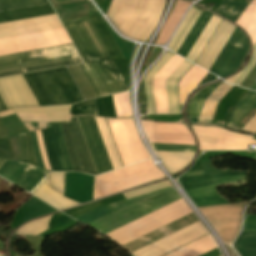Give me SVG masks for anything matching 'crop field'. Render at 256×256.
I'll return each instance as SVG.
<instances>
[{
  "mask_svg": "<svg viewBox=\"0 0 256 256\" xmlns=\"http://www.w3.org/2000/svg\"><path fill=\"white\" fill-rule=\"evenodd\" d=\"M63 26L85 63L80 67L96 97L128 90L89 18Z\"/></svg>",
  "mask_w": 256,
  "mask_h": 256,
  "instance_id": "8a807250",
  "label": "crop field"
},
{
  "mask_svg": "<svg viewBox=\"0 0 256 256\" xmlns=\"http://www.w3.org/2000/svg\"><path fill=\"white\" fill-rule=\"evenodd\" d=\"M22 122L31 132L41 128L49 165L52 171H72L67 155L68 151L74 171L91 174L93 176L97 175L76 116L72 117L69 124L59 122L67 151L58 122H39L40 128L37 122Z\"/></svg>",
  "mask_w": 256,
  "mask_h": 256,
  "instance_id": "ac0d7876",
  "label": "crop field"
},
{
  "mask_svg": "<svg viewBox=\"0 0 256 256\" xmlns=\"http://www.w3.org/2000/svg\"><path fill=\"white\" fill-rule=\"evenodd\" d=\"M164 5L165 0H112L106 15L125 35L146 41Z\"/></svg>",
  "mask_w": 256,
  "mask_h": 256,
  "instance_id": "34b2d1b8",
  "label": "crop field"
},
{
  "mask_svg": "<svg viewBox=\"0 0 256 256\" xmlns=\"http://www.w3.org/2000/svg\"><path fill=\"white\" fill-rule=\"evenodd\" d=\"M181 198L171 187L107 205L113 212L98 219L89 226L103 234Z\"/></svg>",
  "mask_w": 256,
  "mask_h": 256,
  "instance_id": "412701ff",
  "label": "crop field"
},
{
  "mask_svg": "<svg viewBox=\"0 0 256 256\" xmlns=\"http://www.w3.org/2000/svg\"><path fill=\"white\" fill-rule=\"evenodd\" d=\"M40 106L84 100L65 67L24 75Z\"/></svg>",
  "mask_w": 256,
  "mask_h": 256,
  "instance_id": "f4fd0767",
  "label": "crop field"
},
{
  "mask_svg": "<svg viewBox=\"0 0 256 256\" xmlns=\"http://www.w3.org/2000/svg\"><path fill=\"white\" fill-rule=\"evenodd\" d=\"M189 213L190 209L180 199L106 235L123 246Z\"/></svg>",
  "mask_w": 256,
  "mask_h": 256,
  "instance_id": "dd49c442",
  "label": "crop field"
},
{
  "mask_svg": "<svg viewBox=\"0 0 256 256\" xmlns=\"http://www.w3.org/2000/svg\"><path fill=\"white\" fill-rule=\"evenodd\" d=\"M140 163V162H139ZM155 167L152 160L136 164L112 173H108L95 178L94 187ZM164 177L163 173L157 167L95 187L93 200L99 197L111 195L119 191L134 187L136 185Z\"/></svg>",
  "mask_w": 256,
  "mask_h": 256,
  "instance_id": "e52e79f7",
  "label": "crop field"
},
{
  "mask_svg": "<svg viewBox=\"0 0 256 256\" xmlns=\"http://www.w3.org/2000/svg\"><path fill=\"white\" fill-rule=\"evenodd\" d=\"M246 172H226L192 177L180 178L179 182L183 188L198 187L220 183L245 182ZM222 185V184H220ZM220 185H212L198 188L185 189L186 193L193 200L197 207L225 204L226 200L221 199L215 190Z\"/></svg>",
  "mask_w": 256,
  "mask_h": 256,
  "instance_id": "d8731c3e",
  "label": "crop field"
},
{
  "mask_svg": "<svg viewBox=\"0 0 256 256\" xmlns=\"http://www.w3.org/2000/svg\"><path fill=\"white\" fill-rule=\"evenodd\" d=\"M192 126L198 139L199 150H247V144H256L252 136L223 128Z\"/></svg>",
  "mask_w": 256,
  "mask_h": 256,
  "instance_id": "5a996713",
  "label": "crop field"
},
{
  "mask_svg": "<svg viewBox=\"0 0 256 256\" xmlns=\"http://www.w3.org/2000/svg\"><path fill=\"white\" fill-rule=\"evenodd\" d=\"M79 57L73 44L0 57V71Z\"/></svg>",
  "mask_w": 256,
  "mask_h": 256,
  "instance_id": "3316defc",
  "label": "crop field"
},
{
  "mask_svg": "<svg viewBox=\"0 0 256 256\" xmlns=\"http://www.w3.org/2000/svg\"><path fill=\"white\" fill-rule=\"evenodd\" d=\"M247 203L199 208L217 230L223 242L230 245L241 224L242 209Z\"/></svg>",
  "mask_w": 256,
  "mask_h": 256,
  "instance_id": "28ad6ade",
  "label": "crop field"
},
{
  "mask_svg": "<svg viewBox=\"0 0 256 256\" xmlns=\"http://www.w3.org/2000/svg\"><path fill=\"white\" fill-rule=\"evenodd\" d=\"M107 120H132V119L124 118V119H107ZM107 122L109 124L110 130L112 132L113 138L115 140L116 146L118 148L119 154L121 156V159L124 165L135 162L136 160L137 162L141 160H145L150 157L149 154L144 149L142 143L138 139L137 132L135 130V127L132 121H122V122L125 127L127 136L129 138L130 144L132 146L136 160L133 155V152L129 144L128 138L126 136L122 122L121 121H107Z\"/></svg>",
  "mask_w": 256,
  "mask_h": 256,
  "instance_id": "d1516ede",
  "label": "crop field"
},
{
  "mask_svg": "<svg viewBox=\"0 0 256 256\" xmlns=\"http://www.w3.org/2000/svg\"><path fill=\"white\" fill-rule=\"evenodd\" d=\"M249 50V42L237 27L209 71L224 78L237 71Z\"/></svg>",
  "mask_w": 256,
  "mask_h": 256,
  "instance_id": "22f410ed",
  "label": "crop field"
},
{
  "mask_svg": "<svg viewBox=\"0 0 256 256\" xmlns=\"http://www.w3.org/2000/svg\"><path fill=\"white\" fill-rule=\"evenodd\" d=\"M62 31L67 40H64L65 37H64ZM62 31H61V29H58V30L41 32V33H35V34L1 39L0 40V51L12 49V48L29 46V45L47 43V42H52V41H58V40H64V41H58V42H52V43H47V44H41V45L29 46V47L12 49V50H7V51H1L0 55L12 54V53H17V52L41 49V48L64 45V44H70L71 41L68 38L64 28H62Z\"/></svg>",
  "mask_w": 256,
  "mask_h": 256,
  "instance_id": "cbeb9de0",
  "label": "crop field"
},
{
  "mask_svg": "<svg viewBox=\"0 0 256 256\" xmlns=\"http://www.w3.org/2000/svg\"><path fill=\"white\" fill-rule=\"evenodd\" d=\"M207 234L206 230L199 221L162 238L134 253V256H162L174 249H177L203 235Z\"/></svg>",
  "mask_w": 256,
  "mask_h": 256,
  "instance_id": "5142ce71",
  "label": "crop field"
},
{
  "mask_svg": "<svg viewBox=\"0 0 256 256\" xmlns=\"http://www.w3.org/2000/svg\"><path fill=\"white\" fill-rule=\"evenodd\" d=\"M150 142L195 145L190 131L184 124H166L142 121Z\"/></svg>",
  "mask_w": 256,
  "mask_h": 256,
  "instance_id": "d9b57169",
  "label": "crop field"
},
{
  "mask_svg": "<svg viewBox=\"0 0 256 256\" xmlns=\"http://www.w3.org/2000/svg\"><path fill=\"white\" fill-rule=\"evenodd\" d=\"M0 96L7 109L38 106L22 75L0 78Z\"/></svg>",
  "mask_w": 256,
  "mask_h": 256,
  "instance_id": "733c2abd",
  "label": "crop field"
},
{
  "mask_svg": "<svg viewBox=\"0 0 256 256\" xmlns=\"http://www.w3.org/2000/svg\"><path fill=\"white\" fill-rule=\"evenodd\" d=\"M82 127L86 142L91 152L97 173L112 170L110 160L96 126L95 120L90 116H77Z\"/></svg>",
  "mask_w": 256,
  "mask_h": 256,
  "instance_id": "4a817a6b",
  "label": "crop field"
},
{
  "mask_svg": "<svg viewBox=\"0 0 256 256\" xmlns=\"http://www.w3.org/2000/svg\"><path fill=\"white\" fill-rule=\"evenodd\" d=\"M47 171L23 163L5 161L0 166V176L30 192Z\"/></svg>",
  "mask_w": 256,
  "mask_h": 256,
  "instance_id": "bc2a9ffb",
  "label": "crop field"
},
{
  "mask_svg": "<svg viewBox=\"0 0 256 256\" xmlns=\"http://www.w3.org/2000/svg\"><path fill=\"white\" fill-rule=\"evenodd\" d=\"M56 14L0 24V38L61 28Z\"/></svg>",
  "mask_w": 256,
  "mask_h": 256,
  "instance_id": "214f88e0",
  "label": "crop field"
},
{
  "mask_svg": "<svg viewBox=\"0 0 256 256\" xmlns=\"http://www.w3.org/2000/svg\"><path fill=\"white\" fill-rule=\"evenodd\" d=\"M64 173H50L32 194L57 209H65L78 205L62 197Z\"/></svg>",
  "mask_w": 256,
  "mask_h": 256,
  "instance_id": "92a150f3",
  "label": "crop field"
},
{
  "mask_svg": "<svg viewBox=\"0 0 256 256\" xmlns=\"http://www.w3.org/2000/svg\"><path fill=\"white\" fill-rule=\"evenodd\" d=\"M154 151L195 153V147L151 144ZM170 174L186 167L194 154L155 152Z\"/></svg>",
  "mask_w": 256,
  "mask_h": 256,
  "instance_id": "dafd665d",
  "label": "crop field"
},
{
  "mask_svg": "<svg viewBox=\"0 0 256 256\" xmlns=\"http://www.w3.org/2000/svg\"><path fill=\"white\" fill-rule=\"evenodd\" d=\"M70 105L64 106H49V107H34V108H19L13 109L21 120L30 121H66L68 122L71 116L69 115Z\"/></svg>",
  "mask_w": 256,
  "mask_h": 256,
  "instance_id": "00972430",
  "label": "crop field"
},
{
  "mask_svg": "<svg viewBox=\"0 0 256 256\" xmlns=\"http://www.w3.org/2000/svg\"><path fill=\"white\" fill-rule=\"evenodd\" d=\"M235 27L236 26H234L233 24L223 20V22L211 38L210 42L196 61V64L209 70Z\"/></svg>",
  "mask_w": 256,
  "mask_h": 256,
  "instance_id": "a9b5d70f",
  "label": "crop field"
},
{
  "mask_svg": "<svg viewBox=\"0 0 256 256\" xmlns=\"http://www.w3.org/2000/svg\"><path fill=\"white\" fill-rule=\"evenodd\" d=\"M197 221L196 217L193 215V213L167 225L164 226L144 237H141L125 246H123L126 250H128L130 253L164 237L167 236L193 222Z\"/></svg>",
  "mask_w": 256,
  "mask_h": 256,
  "instance_id": "4177f3b9",
  "label": "crop field"
},
{
  "mask_svg": "<svg viewBox=\"0 0 256 256\" xmlns=\"http://www.w3.org/2000/svg\"><path fill=\"white\" fill-rule=\"evenodd\" d=\"M184 59L174 56L153 81L157 113H168L165 81Z\"/></svg>",
  "mask_w": 256,
  "mask_h": 256,
  "instance_id": "730fd06b",
  "label": "crop field"
},
{
  "mask_svg": "<svg viewBox=\"0 0 256 256\" xmlns=\"http://www.w3.org/2000/svg\"><path fill=\"white\" fill-rule=\"evenodd\" d=\"M192 65L184 60L166 81L169 113H179L176 84Z\"/></svg>",
  "mask_w": 256,
  "mask_h": 256,
  "instance_id": "eef30255",
  "label": "crop field"
},
{
  "mask_svg": "<svg viewBox=\"0 0 256 256\" xmlns=\"http://www.w3.org/2000/svg\"><path fill=\"white\" fill-rule=\"evenodd\" d=\"M93 26L95 27L98 35L100 36L103 44L105 45L108 53L113 61L124 60L120 50L118 49L114 39L112 38L108 28L101 21L98 15L94 13L89 17Z\"/></svg>",
  "mask_w": 256,
  "mask_h": 256,
  "instance_id": "ae1a2a85",
  "label": "crop field"
},
{
  "mask_svg": "<svg viewBox=\"0 0 256 256\" xmlns=\"http://www.w3.org/2000/svg\"><path fill=\"white\" fill-rule=\"evenodd\" d=\"M212 15L213 14H211V13H209L207 11L206 12H202L200 14V16L196 20L195 24L191 28L190 32L188 33L187 37L183 41L182 45L178 49L177 54H179V55H181V56L186 58V56L188 55L189 51L191 50V48L195 44L196 40L198 39V37L202 33L203 29L205 28V26L209 22V20L212 17Z\"/></svg>",
  "mask_w": 256,
  "mask_h": 256,
  "instance_id": "d3111659",
  "label": "crop field"
},
{
  "mask_svg": "<svg viewBox=\"0 0 256 256\" xmlns=\"http://www.w3.org/2000/svg\"><path fill=\"white\" fill-rule=\"evenodd\" d=\"M233 87L230 84H221L206 100L201 115L198 119L200 123H210L218 102Z\"/></svg>",
  "mask_w": 256,
  "mask_h": 256,
  "instance_id": "750c4746",
  "label": "crop field"
},
{
  "mask_svg": "<svg viewBox=\"0 0 256 256\" xmlns=\"http://www.w3.org/2000/svg\"><path fill=\"white\" fill-rule=\"evenodd\" d=\"M207 73L208 72L194 65L180 80L178 85L180 104H183L188 92L193 90Z\"/></svg>",
  "mask_w": 256,
  "mask_h": 256,
  "instance_id": "bd1437ed",
  "label": "crop field"
},
{
  "mask_svg": "<svg viewBox=\"0 0 256 256\" xmlns=\"http://www.w3.org/2000/svg\"><path fill=\"white\" fill-rule=\"evenodd\" d=\"M215 247L208 235L165 256H199Z\"/></svg>",
  "mask_w": 256,
  "mask_h": 256,
  "instance_id": "1d83c4d3",
  "label": "crop field"
},
{
  "mask_svg": "<svg viewBox=\"0 0 256 256\" xmlns=\"http://www.w3.org/2000/svg\"><path fill=\"white\" fill-rule=\"evenodd\" d=\"M173 56L174 54L166 51L163 58L144 77L149 113H156L152 81Z\"/></svg>",
  "mask_w": 256,
  "mask_h": 256,
  "instance_id": "120bbe31",
  "label": "crop field"
},
{
  "mask_svg": "<svg viewBox=\"0 0 256 256\" xmlns=\"http://www.w3.org/2000/svg\"><path fill=\"white\" fill-rule=\"evenodd\" d=\"M53 13L54 11L51 5L15 10V11H8V12H1L0 23L12 21V20L30 18L35 16L53 14Z\"/></svg>",
  "mask_w": 256,
  "mask_h": 256,
  "instance_id": "d32e631a",
  "label": "crop field"
},
{
  "mask_svg": "<svg viewBox=\"0 0 256 256\" xmlns=\"http://www.w3.org/2000/svg\"><path fill=\"white\" fill-rule=\"evenodd\" d=\"M199 14H200V11L193 7L188 11L182 24L180 25L178 31L176 32L174 38L172 39L169 45V48L171 51L176 53L177 49L181 45L182 41L186 37L187 33L189 32L190 28L194 24Z\"/></svg>",
  "mask_w": 256,
  "mask_h": 256,
  "instance_id": "5866460e",
  "label": "crop field"
},
{
  "mask_svg": "<svg viewBox=\"0 0 256 256\" xmlns=\"http://www.w3.org/2000/svg\"><path fill=\"white\" fill-rule=\"evenodd\" d=\"M235 24L247 32L253 45L256 42V0H252Z\"/></svg>",
  "mask_w": 256,
  "mask_h": 256,
  "instance_id": "028f5c9d",
  "label": "crop field"
},
{
  "mask_svg": "<svg viewBox=\"0 0 256 256\" xmlns=\"http://www.w3.org/2000/svg\"><path fill=\"white\" fill-rule=\"evenodd\" d=\"M256 105V92H248L235 106L228 127L234 128L241 119Z\"/></svg>",
  "mask_w": 256,
  "mask_h": 256,
  "instance_id": "e1f06a70",
  "label": "crop field"
},
{
  "mask_svg": "<svg viewBox=\"0 0 256 256\" xmlns=\"http://www.w3.org/2000/svg\"><path fill=\"white\" fill-rule=\"evenodd\" d=\"M99 128L100 134L102 136L103 142L105 144L106 150L108 152L109 158L111 160L113 168L121 167V162L119 160L118 154L116 152L114 143L112 141L110 132L108 130L107 124L104 118L94 117Z\"/></svg>",
  "mask_w": 256,
  "mask_h": 256,
  "instance_id": "0bd39190",
  "label": "crop field"
},
{
  "mask_svg": "<svg viewBox=\"0 0 256 256\" xmlns=\"http://www.w3.org/2000/svg\"><path fill=\"white\" fill-rule=\"evenodd\" d=\"M233 247L241 256H256V232H242Z\"/></svg>",
  "mask_w": 256,
  "mask_h": 256,
  "instance_id": "b80d0937",
  "label": "crop field"
},
{
  "mask_svg": "<svg viewBox=\"0 0 256 256\" xmlns=\"http://www.w3.org/2000/svg\"><path fill=\"white\" fill-rule=\"evenodd\" d=\"M219 21H220V18L213 15L210 22L208 23V25L204 29L203 33L201 34V36L197 40L196 44L194 45V47L192 48V50L190 51V53H189V55L187 56L186 59H188V60H190L191 62L194 63L195 59L199 55L200 51L202 50L203 46L207 42L208 38L212 34L213 30L215 29V27L217 26Z\"/></svg>",
  "mask_w": 256,
  "mask_h": 256,
  "instance_id": "c035e120",
  "label": "crop field"
},
{
  "mask_svg": "<svg viewBox=\"0 0 256 256\" xmlns=\"http://www.w3.org/2000/svg\"><path fill=\"white\" fill-rule=\"evenodd\" d=\"M246 5V3L223 0L214 12L234 22Z\"/></svg>",
  "mask_w": 256,
  "mask_h": 256,
  "instance_id": "c21b1889",
  "label": "crop field"
},
{
  "mask_svg": "<svg viewBox=\"0 0 256 256\" xmlns=\"http://www.w3.org/2000/svg\"><path fill=\"white\" fill-rule=\"evenodd\" d=\"M219 83H215L204 88L196 96L192 98L189 103V116L198 118L201 112V109L204 105L206 98L219 86Z\"/></svg>",
  "mask_w": 256,
  "mask_h": 256,
  "instance_id": "03da06ac",
  "label": "crop field"
},
{
  "mask_svg": "<svg viewBox=\"0 0 256 256\" xmlns=\"http://www.w3.org/2000/svg\"><path fill=\"white\" fill-rule=\"evenodd\" d=\"M81 62H82L81 59L77 58V59L65 60V61H60V62L42 64V65H37V66L25 67V68H20V69L2 71V72H0V77L21 74V73H26V72H32V71H37V70H43V69L59 67V66H64V65L77 64V63H81Z\"/></svg>",
  "mask_w": 256,
  "mask_h": 256,
  "instance_id": "b54c1fbb",
  "label": "crop field"
},
{
  "mask_svg": "<svg viewBox=\"0 0 256 256\" xmlns=\"http://www.w3.org/2000/svg\"><path fill=\"white\" fill-rule=\"evenodd\" d=\"M46 0H0V11L46 5Z\"/></svg>",
  "mask_w": 256,
  "mask_h": 256,
  "instance_id": "5d738f31",
  "label": "crop field"
},
{
  "mask_svg": "<svg viewBox=\"0 0 256 256\" xmlns=\"http://www.w3.org/2000/svg\"><path fill=\"white\" fill-rule=\"evenodd\" d=\"M51 216L30 222L17 230V234L38 235L48 230V222Z\"/></svg>",
  "mask_w": 256,
  "mask_h": 256,
  "instance_id": "d23c7cc5",
  "label": "crop field"
},
{
  "mask_svg": "<svg viewBox=\"0 0 256 256\" xmlns=\"http://www.w3.org/2000/svg\"><path fill=\"white\" fill-rule=\"evenodd\" d=\"M71 73L73 74L75 80L77 81L78 85L80 86L82 92L84 93L86 99L94 98L95 95L89 86L85 76L83 75L79 65L69 66Z\"/></svg>",
  "mask_w": 256,
  "mask_h": 256,
  "instance_id": "425ffa30",
  "label": "crop field"
},
{
  "mask_svg": "<svg viewBox=\"0 0 256 256\" xmlns=\"http://www.w3.org/2000/svg\"><path fill=\"white\" fill-rule=\"evenodd\" d=\"M114 104L117 117H130L131 110L128 100V92L114 95Z\"/></svg>",
  "mask_w": 256,
  "mask_h": 256,
  "instance_id": "25e5ab78",
  "label": "crop field"
},
{
  "mask_svg": "<svg viewBox=\"0 0 256 256\" xmlns=\"http://www.w3.org/2000/svg\"><path fill=\"white\" fill-rule=\"evenodd\" d=\"M71 115H96V108L94 100L81 102L75 104L70 109Z\"/></svg>",
  "mask_w": 256,
  "mask_h": 256,
  "instance_id": "73cf0c24",
  "label": "crop field"
},
{
  "mask_svg": "<svg viewBox=\"0 0 256 256\" xmlns=\"http://www.w3.org/2000/svg\"><path fill=\"white\" fill-rule=\"evenodd\" d=\"M255 63H256V43H255V45L253 46V53H252V56H251V59H250L248 65L243 68L242 72L240 71L241 73L238 72V73L235 74L234 76H232V77H230V78H228V79H225V81L234 84L235 80L237 79V77H238V75H239V73H240L238 79H237L236 82H235L236 85H239L240 82L243 80V78L246 76V74L250 71V69L253 67V65H254Z\"/></svg>",
  "mask_w": 256,
  "mask_h": 256,
  "instance_id": "89e229c0",
  "label": "crop field"
},
{
  "mask_svg": "<svg viewBox=\"0 0 256 256\" xmlns=\"http://www.w3.org/2000/svg\"><path fill=\"white\" fill-rule=\"evenodd\" d=\"M170 185L171 184L168 182V180H166V181L159 182V183H156L153 185H149V186H146V187H143L140 189H136V190H133L130 192L123 193V195L126 199H128V198L135 197V196L147 193V192H151V191L163 188V187L170 186Z\"/></svg>",
  "mask_w": 256,
  "mask_h": 256,
  "instance_id": "1f2cbd36",
  "label": "crop field"
},
{
  "mask_svg": "<svg viewBox=\"0 0 256 256\" xmlns=\"http://www.w3.org/2000/svg\"><path fill=\"white\" fill-rule=\"evenodd\" d=\"M25 136H26V142H27V146H28L29 163L38 166L35 152H34V149L32 147V143H31L30 132L26 133Z\"/></svg>",
  "mask_w": 256,
  "mask_h": 256,
  "instance_id": "dbb93151",
  "label": "crop field"
},
{
  "mask_svg": "<svg viewBox=\"0 0 256 256\" xmlns=\"http://www.w3.org/2000/svg\"><path fill=\"white\" fill-rule=\"evenodd\" d=\"M255 79H256V64L251 69V71L247 74L244 80L241 82L240 86L249 88Z\"/></svg>",
  "mask_w": 256,
  "mask_h": 256,
  "instance_id": "0fb4a251",
  "label": "crop field"
},
{
  "mask_svg": "<svg viewBox=\"0 0 256 256\" xmlns=\"http://www.w3.org/2000/svg\"><path fill=\"white\" fill-rule=\"evenodd\" d=\"M242 231H256V215H247Z\"/></svg>",
  "mask_w": 256,
  "mask_h": 256,
  "instance_id": "1d79db26",
  "label": "crop field"
},
{
  "mask_svg": "<svg viewBox=\"0 0 256 256\" xmlns=\"http://www.w3.org/2000/svg\"><path fill=\"white\" fill-rule=\"evenodd\" d=\"M36 134H37V139H38V143H39V147H40V152H41L43 163L45 165V168L47 170H50L48 162H47L46 153H45V149H44V145H43V141H42V136H41L40 130L36 131Z\"/></svg>",
  "mask_w": 256,
  "mask_h": 256,
  "instance_id": "9d1cf04e",
  "label": "crop field"
},
{
  "mask_svg": "<svg viewBox=\"0 0 256 256\" xmlns=\"http://www.w3.org/2000/svg\"><path fill=\"white\" fill-rule=\"evenodd\" d=\"M255 114L256 106L245 116V118L235 127V129L241 130Z\"/></svg>",
  "mask_w": 256,
  "mask_h": 256,
  "instance_id": "447ae74e",
  "label": "crop field"
},
{
  "mask_svg": "<svg viewBox=\"0 0 256 256\" xmlns=\"http://www.w3.org/2000/svg\"><path fill=\"white\" fill-rule=\"evenodd\" d=\"M242 130L256 134V115Z\"/></svg>",
  "mask_w": 256,
  "mask_h": 256,
  "instance_id": "0765c3eb",
  "label": "crop field"
},
{
  "mask_svg": "<svg viewBox=\"0 0 256 256\" xmlns=\"http://www.w3.org/2000/svg\"><path fill=\"white\" fill-rule=\"evenodd\" d=\"M21 145H22V154H23V162L28 163V154H27V147L25 142V136L24 134L19 135Z\"/></svg>",
  "mask_w": 256,
  "mask_h": 256,
  "instance_id": "db79e9e6",
  "label": "crop field"
},
{
  "mask_svg": "<svg viewBox=\"0 0 256 256\" xmlns=\"http://www.w3.org/2000/svg\"><path fill=\"white\" fill-rule=\"evenodd\" d=\"M10 114H14L12 109L0 112V117H4V116L10 115Z\"/></svg>",
  "mask_w": 256,
  "mask_h": 256,
  "instance_id": "7b73153f",
  "label": "crop field"
},
{
  "mask_svg": "<svg viewBox=\"0 0 256 256\" xmlns=\"http://www.w3.org/2000/svg\"><path fill=\"white\" fill-rule=\"evenodd\" d=\"M200 174H204V172L203 171H199V172L185 173L182 177H184V176H192V175H200Z\"/></svg>",
  "mask_w": 256,
  "mask_h": 256,
  "instance_id": "78b8030e",
  "label": "crop field"
},
{
  "mask_svg": "<svg viewBox=\"0 0 256 256\" xmlns=\"http://www.w3.org/2000/svg\"><path fill=\"white\" fill-rule=\"evenodd\" d=\"M1 110H5V107H4L3 103H2V101L0 100V111Z\"/></svg>",
  "mask_w": 256,
  "mask_h": 256,
  "instance_id": "0f1d7ab4",
  "label": "crop field"
},
{
  "mask_svg": "<svg viewBox=\"0 0 256 256\" xmlns=\"http://www.w3.org/2000/svg\"><path fill=\"white\" fill-rule=\"evenodd\" d=\"M250 89H251V90H256V81L254 82V84L251 86Z\"/></svg>",
  "mask_w": 256,
  "mask_h": 256,
  "instance_id": "e1d0b9f6",
  "label": "crop field"
},
{
  "mask_svg": "<svg viewBox=\"0 0 256 256\" xmlns=\"http://www.w3.org/2000/svg\"><path fill=\"white\" fill-rule=\"evenodd\" d=\"M4 161L0 160V165L3 163Z\"/></svg>",
  "mask_w": 256,
  "mask_h": 256,
  "instance_id": "ae633e8c",
  "label": "crop field"
}]
</instances>
